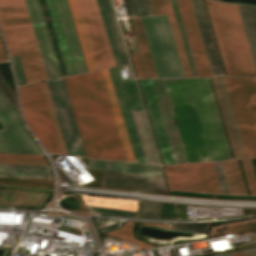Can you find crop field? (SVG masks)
Listing matches in <instances>:
<instances>
[{"label": "crop field", "instance_id": "obj_1", "mask_svg": "<svg viewBox=\"0 0 256 256\" xmlns=\"http://www.w3.org/2000/svg\"><path fill=\"white\" fill-rule=\"evenodd\" d=\"M163 80L187 162L232 159L209 79Z\"/></svg>", "mask_w": 256, "mask_h": 256}, {"label": "crop field", "instance_id": "obj_2", "mask_svg": "<svg viewBox=\"0 0 256 256\" xmlns=\"http://www.w3.org/2000/svg\"><path fill=\"white\" fill-rule=\"evenodd\" d=\"M64 79L86 156L127 161L101 72Z\"/></svg>", "mask_w": 256, "mask_h": 256}, {"label": "crop field", "instance_id": "obj_3", "mask_svg": "<svg viewBox=\"0 0 256 256\" xmlns=\"http://www.w3.org/2000/svg\"><path fill=\"white\" fill-rule=\"evenodd\" d=\"M227 76L256 75L236 5L205 0Z\"/></svg>", "mask_w": 256, "mask_h": 256}, {"label": "crop field", "instance_id": "obj_4", "mask_svg": "<svg viewBox=\"0 0 256 256\" xmlns=\"http://www.w3.org/2000/svg\"><path fill=\"white\" fill-rule=\"evenodd\" d=\"M0 11L15 41L26 82L47 79L24 0H0Z\"/></svg>", "mask_w": 256, "mask_h": 256}, {"label": "crop field", "instance_id": "obj_5", "mask_svg": "<svg viewBox=\"0 0 256 256\" xmlns=\"http://www.w3.org/2000/svg\"><path fill=\"white\" fill-rule=\"evenodd\" d=\"M158 77H184L166 15L140 17Z\"/></svg>", "mask_w": 256, "mask_h": 256}, {"label": "crop field", "instance_id": "obj_6", "mask_svg": "<svg viewBox=\"0 0 256 256\" xmlns=\"http://www.w3.org/2000/svg\"><path fill=\"white\" fill-rule=\"evenodd\" d=\"M68 75L85 72L86 66L66 0H45Z\"/></svg>", "mask_w": 256, "mask_h": 256}, {"label": "crop field", "instance_id": "obj_7", "mask_svg": "<svg viewBox=\"0 0 256 256\" xmlns=\"http://www.w3.org/2000/svg\"><path fill=\"white\" fill-rule=\"evenodd\" d=\"M21 105L33 134L50 153H59L40 84L19 87Z\"/></svg>", "mask_w": 256, "mask_h": 256}, {"label": "crop field", "instance_id": "obj_8", "mask_svg": "<svg viewBox=\"0 0 256 256\" xmlns=\"http://www.w3.org/2000/svg\"><path fill=\"white\" fill-rule=\"evenodd\" d=\"M120 113L135 162L146 163L131 112L143 110L133 78L121 80L119 69H109Z\"/></svg>", "mask_w": 256, "mask_h": 256}, {"label": "crop field", "instance_id": "obj_9", "mask_svg": "<svg viewBox=\"0 0 256 256\" xmlns=\"http://www.w3.org/2000/svg\"><path fill=\"white\" fill-rule=\"evenodd\" d=\"M0 152L43 153L0 91Z\"/></svg>", "mask_w": 256, "mask_h": 256}, {"label": "crop field", "instance_id": "obj_10", "mask_svg": "<svg viewBox=\"0 0 256 256\" xmlns=\"http://www.w3.org/2000/svg\"><path fill=\"white\" fill-rule=\"evenodd\" d=\"M248 158L256 157V122L242 78H224Z\"/></svg>", "mask_w": 256, "mask_h": 256}, {"label": "crop field", "instance_id": "obj_11", "mask_svg": "<svg viewBox=\"0 0 256 256\" xmlns=\"http://www.w3.org/2000/svg\"><path fill=\"white\" fill-rule=\"evenodd\" d=\"M69 155L84 156L63 79L47 81Z\"/></svg>", "mask_w": 256, "mask_h": 256}, {"label": "crop field", "instance_id": "obj_12", "mask_svg": "<svg viewBox=\"0 0 256 256\" xmlns=\"http://www.w3.org/2000/svg\"><path fill=\"white\" fill-rule=\"evenodd\" d=\"M47 78L60 77L59 68L38 0H25Z\"/></svg>", "mask_w": 256, "mask_h": 256}, {"label": "crop field", "instance_id": "obj_13", "mask_svg": "<svg viewBox=\"0 0 256 256\" xmlns=\"http://www.w3.org/2000/svg\"><path fill=\"white\" fill-rule=\"evenodd\" d=\"M142 88V92L145 98L151 123L154 129L158 147L161 153L163 164H173L175 158L172 152V148L169 142V138L166 132V128L163 122L161 111L158 105V101L155 95V91L151 80H139Z\"/></svg>", "mask_w": 256, "mask_h": 256}, {"label": "crop field", "instance_id": "obj_14", "mask_svg": "<svg viewBox=\"0 0 256 256\" xmlns=\"http://www.w3.org/2000/svg\"><path fill=\"white\" fill-rule=\"evenodd\" d=\"M199 76H212L190 0H176Z\"/></svg>", "mask_w": 256, "mask_h": 256}, {"label": "crop field", "instance_id": "obj_15", "mask_svg": "<svg viewBox=\"0 0 256 256\" xmlns=\"http://www.w3.org/2000/svg\"><path fill=\"white\" fill-rule=\"evenodd\" d=\"M235 159L247 158L223 78H211Z\"/></svg>", "mask_w": 256, "mask_h": 256}, {"label": "crop field", "instance_id": "obj_16", "mask_svg": "<svg viewBox=\"0 0 256 256\" xmlns=\"http://www.w3.org/2000/svg\"><path fill=\"white\" fill-rule=\"evenodd\" d=\"M80 18L83 24L85 35L88 41L95 69L107 68L108 62L105 56L103 45L100 39L98 28L95 22L93 11L89 0H75Z\"/></svg>", "mask_w": 256, "mask_h": 256}, {"label": "crop field", "instance_id": "obj_17", "mask_svg": "<svg viewBox=\"0 0 256 256\" xmlns=\"http://www.w3.org/2000/svg\"><path fill=\"white\" fill-rule=\"evenodd\" d=\"M177 163H187L162 79L152 80Z\"/></svg>", "mask_w": 256, "mask_h": 256}, {"label": "crop field", "instance_id": "obj_18", "mask_svg": "<svg viewBox=\"0 0 256 256\" xmlns=\"http://www.w3.org/2000/svg\"><path fill=\"white\" fill-rule=\"evenodd\" d=\"M213 76H224L202 0H191Z\"/></svg>", "mask_w": 256, "mask_h": 256}, {"label": "crop field", "instance_id": "obj_19", "mask_svg": "<svg viewBox=\"0 0 256 256\" xmlns=\"http://www.w3.org/2000/svg\"><path fill=\"white\" fill-rule=\"evenodd\" d=\"M164 167L171 189L204 192L195 164Z\"/></svg>", "mask_w": 256, "mask_h": 256}, {"label": "crop field", "instance_id": "obj_20", "mask_svg": "<svg viewBox=\"0 0 256 256\" xmlns=\"http://www.w3.org/2000/svg\"><path fill=\"white\" fill-rule=\"evenodd\" d=\"M89 168L162 176L160 167L153 166V165L132 164V163L89 159Z\"/></svg>", "mask_w": 256, "mask_h": 256}, {"label": "crop field", "instance_id": "obj_21", "mask_svg": "<svg viewBox=\"0 0 256 256\" xmlns=\"http://www.w3.org/2000/svg\"><path fill=\"white\" fill-rule=\"evenodd\" d=\"M147 163L159 164L144 112L132 113Z\"/></svg>", "mask_w": 256, "mask_h": 256}, {"label": "crop field", "instance_id": "obj_22", "mask_svg": "<svg viewBox=\"0 0 256 256\" xmlns=\"http://www.w3.org/2000/svg\"><path fill=\"white\" fill-rule=\"evenodd\" d=\"M256 67V7L237 5Z\"/></svg>", "mask_w": 256, "mask_h": 256}, {"label": "crop field", "instance_id": "obj_23", "mask_svg": "<svg viewBox=\"0 0 256 256\" xmlns=\"http://www.w3.org/2000/svg\"><path fill=\"white\" fill-rule=\"evenodd\" d=\"M101 72H102V76H103L105 86H106V89H107V92H108L110 103H111V106H112V109H113V113H114V116H115V119H116V123H117L118 129H119V133H120L121 140H122V143H123V146H124V150H125V153H126V156H127V160L130 161V162H134L132 154H131V150H130V147H129V144H128V140H127V137H126V133H125V130H124V126H123V123H122V119H121V116H120V113H119V109H118V106H117V102H116V99H115V95H114V92H113V88H112L110 78H109V75H108V71L104 70V71H101Z\"/></svg>", "mask_w": 256, "mask_h": 256}, {"label": "crop field", "instance_id": "obj_24", "mask_svg": "<svg viewBox=\"0 0 256 256\" xmlns=\"http://www.w3.org/2000/svg\"><path fill=\"white\" fill-rule=\"evenodd\" d=\"M102 180L166 186L162 177L104 171Z\"/></svg>", "mask_w": 256, "mask_h": 256}, {"label": "crop field", "instance_id": "obj_25", "mask_svg": "<svg viewBox=\"0 0 256 256\" xmlns=\"http://www.w3.org/2000/svg\"><path fill=\"white\" fill-rule=\"evenodd\" d=\"M141 53L131 54L138 78L153 77L135 18H130Z\"/></svg>", "mask_w": 256, "mask_h": 256}, {"label": "crop field", "instance_id": "obj_26", "mask_svg": "<svg viewBox=\"0 0 256 256\" xmlns=\"http://www.w3.org/2000/svg\"><path fill=\"white\" fill-rule=\"evenodd\" d=\"M231 194H247L236 160L221 161Z\"/></svg>", "mask_w": 256, "mask_h": 256}, {"label": "crop field", "instance_id": "obj_27", "mask_svg": "<svg viewBox=\"0 0 256 256\" xmlns=\"http://www.w3.org/2000/svg\"><path fill=\"white\" fill-rule=\"evenodd\" d=\"M104 6H105V10L108 16V20L110 23V27L113 33V37L116 43V47L118 50V54L121 60V64H127L129 63L128 61V57L126 54V50H125V46L123 43V39L120 33V29L116 20V16L112 7V3L111 0H103Z\"/></svg>", "mask_w": 256, "mask_h": 256}, {"label": "crop field", "instance_id": "obj_28", "mask_svg": "<svg viewBox=\"0 0 256 256\" xmlns=\"http://www.w3.org/2000/svg\"><path fill=\"white\" fill-rule=\"evenodd\" d=\"M185 77L192 76L169 0H163Z\"/></svg>", "mask_w": 256, "mask_h": 256}, {"label": "crop field", "instance_id": "obj_29", "mask_svg": "<svg viewBox=\"0 0 256 256\" xmlns=\"http://www.w3.org/2000/svg\"><path fill=\"white\" fill-rule=\"evenodd\" d=\"M82 197L86 205L133 210V211H136L137 209L136 201L120 200V199H112V198H101V197H89V196H82Z\"/></svg>", "mask_w": 256, "mask_h": 256}, {"label": "crop field", "instance_id": "obj_30", "mask_svg": "<svg viewBox=\"0 0 256 256\" xmlns=\"http://www.w3.org/2000/svg\"><path fill=\"white\" fill-rule=\"evenodd\" d=\"M205 192L221 193L212 162L196 164Z\"/></svg>", "mask_w": 256, "mask_h": 256}, {"label": "crop field", "instance_id": "obj_31", "mask_svg": "<svg viewBox=\"0 0 256 256\" xmlns=\"http://www.w3.org/2000/svg\"><path fill=\"white\" fill-rule=\"evenodd\" d=\"M40 84H41V88H42V91H43V94H44V98H45V101H46L48 112H49V115H50V118H51V122H52V125H53L55 136H56V139H57V142H58L60 153L63 154V155H68L65 144H64V140H63V137H62V134H61V130H60V127H59V124H58L56 113H55V110H54V107H53V103H52V100H51V97H50V93H49V90H48V87H47V83L43 82V83H40Z\"/></svg>", "mask_w": 256, "mask_h": 256}, {"label": "crop field", "instance_id": "obj_32", "mask_svg": "<svg viewBox=\"0 0 256 256\" xmlns=\"http://www.w3.org/2000/svg\"><path fill=\"white\" fill-rule=\"evenodd\" d=\"M68 3H69V6H70V10H71L73 20H74V23H75V26H76V30H77V33H78V36H79V40H80V43H81V46H82V50H83V53H84V56H85V60H86L87 66H88V70L89 71L95 70L92 59H91V55H90V52H89V48H88V45H87V41H86V38H85V35H84V31H83V28H82V24H81V21H80V18H79V14H78V11H77L75 1L74 0H68Z\"/></svg>", "mask_w": 256, "mask_h": 256}, {"label": "crop field", "instance_id": "obj_33", "mask_svg": "<svg viewBox=\"0 0 256 256\" xmlns=\"http://www.w3.org/2000/svg\"><path fill=\"white\" fill-rule=\"evenodd\" d=\"M0 163L48 165L44 155L0 154Z\"/></svg>", "mask_w": 256, "mask_h": 256}, {"label": "crop field", "instance_id": "obj_34", "mask_svg": "<svg viewBox=\"0 0 256 256\" xmlns=\"http://www.w3.org/2000/svg\"><path fill=\"white\" fill-rule=\"evenodd\" d=\"M133 227H134V222L128 221V222H126L125 225L120 227L118 230L104 233V234H107V235H110V236H113V237H116V238H119V239H122L125 241L136 243L138 245L139 249L154 247L150 244H147L143 241L133 238V235H132Z\"/></svg>", "mask_w": 256, "mask_h": 256}, {"label": "crop field", "instance_id": "obj_35", "mask_svg": "<svg viewBox=\"0 0 256 256\" xmlns=\"http://www.w3.org/2000/svg\"><path fill=\"white\" fill-rule=\"evenodd\" d=\"M62 76L67 75L44 0H39Z\"/></svg>", "mask_w": 256, "mask_h": 256}, {"label": "crop field", "instance_id": "obj_36", "mask_svg": "<svg viewBox=\"0 0 256 256\" xmlns=\"http://www.w3.org/2000/svg\"><path fill=\"white\" fill-rule=\"evenodd\" d=\"M193 76H198L175 0H170Z\"/></svg>", "mask_w": 256, "mask_h": 256}, {"label": "crop field", "instance_id": "obj_37", "mask_svg": "<svg viewBox=\"0 0 256 256\" xmlns=\"http://www.w3.org/2000/svg\"><path fill=\"white\" fill-rule=\"evenodd\" d=\"M0 176L50 178L48 170L0 168Z\"/></svg>", "mask_w": 256, "mask_h": 256}, {"label": "crop field", "instance_id": "obj_38", "mask_svg": "<svg viewBox=\"0 0 256 256\" xmlns=\"http://www.w3.org/2000/svg\"><path fill=\"white\" fill-rule=\"evenodd\" d=\"M101 187L114 188V189H122V190H131V191H138V190H161V191H167L166 187H161V186L139 185V184L107 182V181H102Z\"/></svg>", "mask_w": 256, "mask_h": 256}, {"label": "crop field", "instance_id": "obj_39", "mask_svg": "<svg viewBox=\"0 0 256 256\" xmlns=\"http://www.w3.org/2000/svg\"><path fill=\"white\" fill-rule=\"evenodd\" d=\"M90 1H91L93 11H94V15H95V18H96L97 25H98V28H99L101 39H102V42H103V45H104L106 56H107V59H108V62H109V66L113 67V66H115L114 61H113L112 54H111V51H110V48H109V44H108V41H107V37H106L105 30H104V27H103V24H102V20H101V17H100V13H99V10H98L96 0H90Z\"/></svg>", "mask_w": 256, "mask_h": 256}, {"label": "crop field", "instance_id": "obj_40", "mask_svg": "<svg viewBox=\"0 0 256 256\" xmlns=\"http://www.w3.org/2000/svg\"><path fill=\"white\" fill-rule=\"evenodd\" d=\"M97 3H98V6H99V10H100V13H101V17H102V20H103L104 27H105V30H106V34H107V37H108L110 48H111V51H112V54H113L115 65L119 66V65H121L120 60H119V57H118V54H117V50H116V47H115V43H114V40H113V37H112V33H111V30H110V27H109V23H108V20H107V16H106V13H105V10H104L102 0H97Z\"/></svg>", "mask_w": 256, "mask_h": 256}, {"label": "crop field", "instance_id": "obj_41", "mask_svg": "<svg viewBox=\"0 0 256 256\" xmlns=\"http://www.w3.org/2000/svg\"><path fill=\"white\" fill-rule=\"evenodd\" d=\"M250 194H256V176L250 159L240 160Z\"/></svg>", "mask_w": 256, "mask_h": 256}, {"label": "crop field", "instance_id": "obj_42", "mask_svg": "<svg viewBox=\"0 0 256 256\" xmlns=\"http://www.w3.org/2000/svg\"><path fill=\"white\" fill-rule=\"evenodd\" d=\"M209 223H173L172 229L207 233Z\"/></svg>", "mask_w": 256, "mask_h": 256}, {"label": "crop field", "instance_id": "obj_43", "mask_svg": "<svg viewBox=\"0 0 256 256\" xmlns=\"http://www.w3.org/2000/svg\"><path fill=\"white\" fill-rule=\"evenodd\" d=\"M256 119V77L243 78Z\"/></svg>", "mask_w": 256, "mask_h": 256}, {"label": "crop field", "instance_id": "obj_44", "mask_svg": "<svg viewBox=\"0 0 256 256\" xmlns=\"http://www.w3.org/2000/svg\"><path fill=\"white\" fill-rule=\"evenodd\" d=\"M222 193L230 194L220 161L213 162Z\"/></svg>", "mask_w": 256, "mask_h": 256}, {"label": "crop field", "instance_id": "obj_45", "mask_svg": "<svg viewBox=\"0 0 256 256\" xmlns=\"http://www.w3.org/2000/svg\"><path fill=\"white\" fill-rule=\"evenodd\" d=\"M0 25L4 31V34H5V37H6V41H7V44H8V47H9V51H10V55L11 56H14V55H17L16 53V49H15V45H14V41L9 33V30L3 20V17L0 13Z\"/></svg>", "mask_w": 256, "mask_h": 256}, {"label": "crop field", "instance_id": "obj_46", "mask_svg": "<svg viewBox=\"0 0 256 256\" xmlns=\"http://www.w3.org/2000/svg\"><path fill=\"white\" fill-rule=\"evenodd\" d=\"M0 90L3 92V94L5 95L7 100L10 102V104L12 105V107L15 109V111L18 114V110H17V106H16V103H15L14 95L12 94V92L7 87V85L5 84V82L3 81V79L1 77H0Z\"/></svg>", "mask_w": 256, "mask_h": 256}, {"label": "crop field", "instance_id": "obj_47", "mask_svg": "<svg viewBox=\"0 0 256 256\" xmlns=\"http://www.w3.org/2000/svg\"><path fill=\"white\" fill-rule=\"evenodd\" d=\"M90 210L94 213H106V214H122V215H131L135 216L136 212L132 211H122V210H112V209H104L89 206Z\"/></svg>", "mask_w": 256, "mask_h": 256}, {"label": "crop field", "instance_id": "obj_48", "mask_svg": "<svg viewBox=\"0 0 256 256\" xmlns=\"http://www.w3.org/2000/svg\"><path fill=\"white\" fill-rule=\"evenodd\" d=\"M11 59H12V63H13V67H14V71H15V75H16L18 84L19 85L25 84L26 82H25V79H24V76L22 73V69H21L18 57L14 56V57H11Z\"/></svg>", "mask_w": 256, "mask_h": 256}, {"label": "crop field", "instance_id": "obj_49", "mask_svg": "<svg viewBox=\"0 0 256 256\" xmlns=\"http://www.w3.org/2000/svg\"><path fill=\"white\" fill-rule=\"evenodd\" d=\"M136 19H137L138 26H139V29H140V32H141V36H142V39H143V42H144V46H145V49H146V52H147V56H148V59H149V62H150V66H151V69H152V72H153V76L157 77L154 66H153V62H152V59H151V55H150V52H149V49H148V45H147V42H146V39H145V35H144V32H143V28H142V25H141V22H140V18L137 17Z\"/></svg>", "mask_w": 256, "mask_h": 256}, {"label": "crop field", "instance_id": "obj_50", "mask_svg": "<svg viewBox=\"0 0 256 256\" xmlns=\"http://www.w3.org/2000/svg\"><path fill=\"white\" fill-rule=\"evenodd\" d=\"M137 16L147 15L142 0H132Z\"/></svg>", "mask_w": 256, "mask_h": 256}, {"label": "crop field", "instance_id": "obj_51", "mask_svg": "<svg viewBox=\"0 0 256 256\" xmlns=\"http://www.w3.org/2000/svg\"><path fill=\"white\" fill-rule=\"evenodd\" d=\"M150 3L154 14L165 13L162 0H150Z\"/></svg>", "mask_w": 256, "mask_h": 256}, {"label": "crop field", "instance_id": "obj_52", "mask_svg": "<svg viewBox=\"0 0 256 256\" xmlns=\"http://www.w3.org/2000/svg\"><path fill=\"white\" fill-rule=\"evenodd\" d=\"M0 167L49 169L48 166H35V165H9V164H0Z\"/></svg>", "mask_w": 256, "mask_h": 256}, {"label": "crop field", "instance_id": "obj_53", "mask_svg": "<svg viewBox=\"0 0 256 256\" xmlns=\"http://www.w3.org/2000/svg\"><path fill=\"white\" fill-rule=\"evenodd\" d=\"M123 2L126 8L127 16L128 17L136 16L131 0H123Z\"/></svg>", "mask_w": 256, "mask_h": 256}, {"label": "crop field", "instance_id": "obj_54", "mask_svg": "<svg viewBox=\"0 0 256 256\" xmlns=\"http://www.w3.org/2000/svg\"><path fill=\"white\" fill-rule=\"evenodd\" d=\"M143 1H144V4H145V7H146L147 14L148 15L153 14L150 3H149V0H143Z\"/></svg>", "mask_w": 256, "mask_h": 256}, {"label": "crop field", "instance_id": "obj_55", "mask_svg": "<svg viewBox=\"0 0 256 256\" xmlns=\"http://www.w3.org/2000/svg\"><path fill=\"white\" fill-rule=\"evenodd\" d=\"M4 60H6V59H5V55H4L2 44L0 42V61H4Z\"/></svg>", "mask_w": 256, "mask_h": 256}, {"label": "crop field", "instance_id": "obj_56", "mask_svg": "<svg viewBox=\"0 0 256 256\" xmlns=\"http://www.w3.org/2000/svg\"><path fill=\"white\" fill-rule=\"evenodd\" d=\"M244 253L256 256V250L248 251V252H244Z\"/></svg>", "mask_w": 256, "mask_h": 256}, {"label": "crop field", "instance_id": "obj_57", "mask_svg": "<svg viewBox=\"0 0 256 256\" xmlns=\"http://www.w3.org/2000/svg\"><path fill=\"white\" fill-rule=\"evenodd\" d=\"M232 256H250V255H246V254H243V253H238V254H232Z\"/></svg>", "mask_w": 256, "mask_h": 256}, {"label": "crop field", "instance_id": "obj_58", "mask_svg": "<svg viewBox=\"0 0 256 256\" xmlns=\"http://www.w3.org/2000/svg\"><path fill=\"white\" fill-rule=\"evenodd\" d=\"M10 252L8 251H4V255L3 256H8Z\"/></svg>", "mask_w": 256, "mask_h": 256}, {"label": "crop field", "instance_id": "obj_59", "mask_svg": "<svg viewBox=\"0 0 256 256\" xmlns=\"http://www.w3.org/2000/svg\"><path fill=\"white\" fill-rule=\"evenodd\" d=\"M226 256H229V255H226Z\"/></svg>", "mask_w": 256, "mask_h": 256}, {"label": "crop field", "instance_id": "obj_60", "mask_svg": "<svg viewBox=\"0 0 256 256\" xmlns=\"http://www.w3.org/2000/svg\"><path fill=\"white\" fill-rule=\"evenodd\" d=\"M222 1V0H221Z\"/></svg>", "mask_w": 256, "mask_h": 256}]
</instances>
